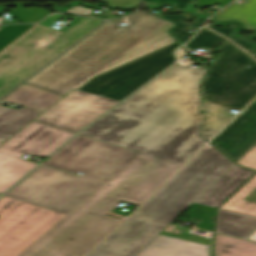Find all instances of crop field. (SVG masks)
I'll use <instances>...</instances> for the list:
<instances>
[{
  "label": "crop field",
  "instance_id": "crop-field-14",
  "mask_svg": "<svg viewBox=\"0 0 256 256\" xmlns=\"http://www.w3.org/2000/svg\"><path fill=\"white\" fill-rule=\"evenodd\" d=\"M256 172L233 165L220 179L206 190L194 203L217 208L236 189Z\"/></svg>",
  "mask_w": 256,
  "mask_h": 256
},
{
  "label": "crop field",
  "instance_id": "crop-field-33",
  "mask_svg": "<svg viewBox=\"0 0 256 256\" xmlns=\"http://www.w3.org/2000/svg\"><path fill=\"white\" fill-rule=\"evenodd\" d=\"M244 38V37H243ZM254 43V42H253ZM255 46V45H254ZM256 48V47H255ZM255 50V49H254ZM254 50H252V52L254 51ZM250 53V52H249Z\"/></svg>",
  "mask_w": 256,
  "mask_h": 256
},
{
  "label": "crop field",
  "instance_id": "crop-field-7",
  "mask_svg": "<svg viewBox=\"0 0 256 256\" xmlns=\"http://www.w3.org/2000/svg\"><path fill=\"white\" fill-rule=\"evenodd\" d=\"M101 23L82 18L62 33L33 26L0 52V98Z\"/></svg>",
  "mask_w": 256,
  "mask_h": 256
},
{
  "label": "crop field",
  "instance_id": "crop-field-21",
  "mask_svg": "<svg viewBox=\"0 0 256 256\" xmlns=\"http://www.w3.org/2000/svg\"><path fill=\"white\" fill-rule=\"evenodd\" d=\"M223 40L224 38L214 34L206 28H203L193 39L190 41L186 47L187 49L194 51L198 48L207 50L211 52L214 50Z\"/></svg>",
  "mask_w": 256,
  "mask_h": 256
},
{
  "label": "crop field",
  "instance_id": "crop-field-10",
  "mask_svg": "<svg viewBox=\"0 0 256 256\" xmlns=\"http://www.w3.org/2000/svg\"><path fill=\"white\" fill-rule=\"evenodd\" d=\"M177 42L96 77L79 90L121 101L174 63Z\"/></svg>",
  "mask_w": 256,
  "mask_h": 256
},
{
  "label": "crop field",
  "instance_id": "crop-field-27",
  "mask_svg": "<svg viewBox=\"0 0 256 256\" xmlns=\"http://www.w3.org/2000/svg\"><path fill=\"white\" fill-rule=\"evenodd\" d=\"M143 1H152L156 3L172 2V3H176L175 8L185 9V7L187 6L190 0H143Z\"/></svg>",
  "mask_w": 256,
  "mask_h": 256
},
{
  "label": "crop field",
  "instance_id": "crop-field-28",
  "mask_svg": "<svg viewBox=\"0 0 256 256\" xmlns=\"http://www.w3.org/2000/svg\"><path fill=\"white\" fill-rule=\"evenodd\" d=\"M237 164L256 171V160L237 162Z\"/></svg>",
  "mask_w": 256,
  "mask_h": 256
},
{
  "label": "crop field",
  "instance_id": "crop-field-26",
  "mask_svg": "<svg viewBox=\"0 0 256 256\" xmlns=\"http://www.w3.org/2000/svg\"><path fill=\"white\" fill-rule=\"evenodd\" d=\"M231 1L232 0H197L195 6H197L200 9L208 7V6L216 4V3H220L222 6H224Z\"/></svg>",
  "mask_w": 256,
  "mask_h": 256
},
{
  "label": "crop field",
  "instance_id": "crop-field-8",
  "mask_svg": "<svg viewBox=\"0 0 256 256\" xmlns=\"http://www.w3.org/2000/svg\"><path fill=\"white\" fill-rule=\"evenodd\" d=\"M74 134L33 121L0 146V194L37 166L22 155L47 157Z\"/></svg>",
  "mask_w": 256,
  "mask_h": 256
},
{
  "label": "crop field",
  "instance_id": "crop-field-32",
  "mask_svg": "<svg viewBox=\"0 0 256 256\" xmlns=\"http://www.w3.org/2000/svg\"><path fill=\"white\" fill-rule=\"evenodd\" d=\"M247 240L256 241V231L247 238Z\"/></svg>",
  "mask_w": 256,
  "mask_h": 256
},
{
  "label": "crop field",
  "instance_id": "crop-field-25",
  "mask_svg": "<svg viewBox=\"0 0 256 256\" xmlns=\"http://www.w3.org/2000/svg\"><path fill=\"white\" fill-rule=\"evenodd\" d=\"M111 7H135L139 5V0H107Z\"/></svg>",
  "mask_w": 256,
  "mask_h": 256
},
{
  "label": "crop field",
  "instance_id": "crop-field-22",
  "mask_svg": "<svg viewBox=\"0 0 256 256\" xmlns=\"http://www.w3.org/2000/svg\"><path fill=\"white\" fill-rule=\"evenodd\" d=\"M9 10L20 23L37 22L50 12L35 7L14 8Z\"/></svg>",
  "mask_w": 256,
  "mask_h": 256
},
{
  "label": "crop field",
  "instance_id": "crop-field-3",
  "mask_svg": "<svg viewBox=\"0 0 256 256\" xmlns=\"http://www.w3.org/2000/svg\"><path fill=\"white\" fill-rule=\"evenodd\" d=\"M110 21L48 65L25 84L60 95L78 89L94 76L172 42L173 23L137 12L127 17L129 27Z\"/></svg>",
  "mask_w": 256,
  "mask_h": 256
},
{
  "label": "crop field",
  "instance_id": "crop-field-16",
  "mask_svg": "<svg viewBox=\"0 0 256 256\" xmlns=\"http://www.w3.org/2000/svg\"><path fill=\"white\" fill-rule=\"evenodd\" d=\"M256 227V218L218 209L216 232L243 238Z\"/></svg>",
  "mask_w": 256,
  "mask_h": 256
},
{
  "label": "crop field",
  "instance_id": "crop-field-18",
  "mask_svg": "<svg viewBox=\"0 0 256 256\" xmlns=\"http://www.w3.org/2000/svg\"><path fill=\"white\" fill-rule=\"evenodd\" d=\"M247 4H232L214 16L220 22L234 20L242 23L243 28L249 31L256 30V0H246Z\"/></svg>",
  "mask_w": 256,
  "mask_h": 256
},
{
  "label": "crop field",
  "instance_id": "crop-field-13",
  "mask_svg": "<svg viewBox=\"0 0 256 256\" xmlns=\"http://www.w3.org/2000/svg\"><path fill=\"white\" fill-rule=\"evenodd\" d=\"M233 162L256 144V101L210 142Z\"/></svg>",
  "mask_w": 256,
  "mask_h": 256
},
{
  "label": "crop field",
  "instance_id": "crop-field-1",
  "mask_svg": "<svg viewBox=\"0 0 256 256\" xmlns=\"http://www.w3.org/2000/svg\"><path fill=\"white\" fill-rule=\"evenodd\" d=\"M205 72L175 64L80 135L182 165L206 142L198 136Z\"/></svg>",
  "mask_w": 256,
  "mask_h": 256
},
{
  "label": "crop field",
  "instance_id": "crop-field-29",
  "mask_svg": "<svg viewBox=\"0 0 256 256\" xmlns=\"http://www.w3.org/2000/svg\"><path fill=\"white\" fill-rule=\"evenodd\" d=\"M256 159V145L239 161Z\"/></svg>",
  "mask_w": 256,
  "mask_h": 256
},
{
  "label": "crop field",
  "instance_id": "crop-field-5",
  "mask_svg": "<svg viewBox=\"0 0 256 256\" xmlns=\"http://www.w3.org/2000/svg\"><path fill=\"white\" fill-rule=\"evenodd\" d=\"M233 164L208 144L89 256H135Z\"/></svg>",
  "mask_w": 256,
  "mask_h": 256
},
{
  "label": "crop field",
  "instance_id": "crop-field-15",
  "mask_svg": "<svg viewBox=\"0 0 256 256\" xmlns=\"http://www.w3.org/2000/svg\"><path fill=\"white\" fill-rule=\"evenodd\" d=\"M207 246L155 237L136 256H210Z\"/></svg>",
  "mask_w": 256,
  "mask_h": 256
},
{
  "label": "crop field",
  "instance_id": "crop-field-11",
  "mask_svg": "<svg viewBox=\"0 0 256 256\" xmlns=\"http://www.w3.org/2000/svg\"><path fill=\"white\" fill-rule=\"evenodd\" d=\"M118 101L73 90L35 121L77 133Z\"/></svg>",
  "mask_w": 256,
  "mask_h": 256
},
{
  "label": "crop field",
  "instance_id": "crop-field-9",
  "mask_svg": "<svg viewBox=\"0 0 256 256\" xmlns=\"http://www.w3.org/2000/svg\"><path fill=\"white\" fill-rule=\"evenodd\" d=\"M64 216L3 196L0 199V256H17Z\"/></svg>",
  "mask_w": 256,
  "mask_h": 256
},
{
  "label": "crop field",
  "instance_id": "crop-field-2",
  "mask_svg": "<svg viewBox=\"0 0 256 256\" xmlns=\"http://www.w3.org/2000/svg\"><path fill=\"white\" fill-rule=\"evenodd\" d=\"M179 167L139 155L18 256H83L121 222L106 210L121 200L139 204Z\"/></svg>",
  "mask_w": 256,
  "mask_h": 256
},
{
  "label": "crop field",
  "instance_id": "crop-field-20",
  "mask_svg": "<svg viewBox=\"0 0 256 256\" xmlns=\"http://www.w3.org/2000/svg\"><path fill=\"white\" fill-rule=\"evenodd\" d=\"M159 16L164 17L176 23L177 27L174 28L172 31H170V33L179 42H181V44L189 40L191 36L198 30L197 28L198 27L200 28L202 26L198 24L196 20H194V22L191 24L189 23L185 24V22H188V21H184V19H186L184 14H180V15H160L159 14ZM193 29H197V30L194 32L192 31Z\"/></svg>",
  "mask_w": 256,
  "mask_h": 256
},
{
  "label": "crop field",
  "instance_id": "crop-field-31",
  "mask_svg": "<svg viewBox=\"0 0 256 256\" xmlns=\"http://www.w3.org/2000/svg\"><path fill=\"white\" fill-rule=\"evenodd\" d=\"M116 206V205H115ZM113 207L112 209L109 210V212H105L104 215H108V216H111V217H114V218H118V219H121L123 220L125 218V216H121V215H118V214H114L112 213L117 207Z\"/></svg>",
  "mask_w": 256,
  "mask_h": 256
},
{
  "label": "crop field",
  "instance_id": "crop-field-12",
  "mask_svg": "<svg viewBox=\"0 0 256 256\" xmlns=\"http://www.w3.org/2000/svg\"><path fill=\"white\" fill-rule=\"evenodd\" d=\"M61 98L63 96L23 84L8 97L1 100L20 104L24 107L20 110L8 109L1 106L3 103L0 102V145Z\"/></svg>",
  "mask_w": 256,
  "mask_h": 256
},
{
  "label": "crop field",
  "instance_id": "crop-field-19",
  "mask_svg": "<svg viewBox=\"0 0 256 256\" xmlns=\"http://www.w3.org/2000/svg\"><path fill=\"white\" fill-rule=\"evenodd\" d=\"M215 256H256V244L215 234Z\"/></svg>",
  "mask_w": 256,
  "mask_h": 256
},
{
  "label": "crop field",
  "instance_id": "crop-field-24",
  "mask_svg": "<svg viewBox=\"0 0 256 256\" xmlns=\"http://www.w3.org/2000/svg\"><path fill=\"white\" fill-rule=\"evenodd\" d=\"M208 26L212 30H214V31L220 33L221 35L231 39L232 41H234L236 44L241 46L246 51L254 49V46L252 45L251 42L246 40V37L244 39H237V40H234V39L231 38V35L237 30V29H234V26H231V27H228V28H216L215 26H213L209 23H208Z\"/></svg>",
  "mask_w": 256,
  "mask_h": 256
},
{
  "label": "crop field",
  "instance_id": "crop-field-23",
  "mask_svg": "<svg viewBox=\"0 0 256 256\" xmlns=\"http://www.w3.org/2000/svg\"><path fill=\"white\" fill-rule=\"evenodd\" d=\"M33 25L7 26L0 30V51Z\"/></svg>",
  "mask_w": 256,
  "mask_h": 256
},
{
  "label": "crop field",
  "instance_id": "crop-field-4",
  "mask_svg": "<svg viewBox=\"0 0 256 256\" xmlns=\"http://www.w3.org/2000/svg\"><path fill=\"white\" fill-rule=\"evenodd\" d=\"M140 153L78 135L5 196L68 214Z\"/></svg>",
  "mask_w": 256,
  "mask_h": 256
},
{
  "label": "crop field",
  "instance_id": "crop-field-30",
  "mask_svg": "<svg viewBox=\"0 0 256 256\" xmlns=\"http://www.w3.org/2000/svg\"><path fill=\"white\" fill-rule=\"evenodd\" d=\"M182 48L178 49L176 54H177V57L179 58V61L181 60L180 58L183 57V56H186L187 53L185 51L182 50ZM191 57H188L187 61L184 63L185 65H191L193 64L194 62H192L191 60Z\"/></svg>",
  "mask_w": 256,
  "mask_h": 256
},
{
  "label": "crop field",
  "instance_id": "crop-field-6",
  "mask_svg": "<svg viewBox=\"0 0 256 256\" xmlns=\"http://www.w3.org/2000/svg\"><path fill=\"white\" fill-rule=\"evenodd\" d=\"M216 51L218 60L207 68L200 87L206 101L201 106L206 113L201 135L207 141L237 115L230 110L241 111L256 97V61L228 41Z\"/></svg>",
  "mask_w": 256,
  "mask_h": 256
},
{
  "label": "crop field",
  "instance_id": "crop-field-17",
  "mask_svg": "<svg viewBox=\"0 0 256 256\" xmlns=\"http://www.w3.org/2000/svg\"><path fill=\"white\" fill-rule=\"evenodd\" d=\"M220 208L256 217V175Z\"/></svg>",
  "mask_w": 256,
  "mask_h": 256
}]
</instances>
